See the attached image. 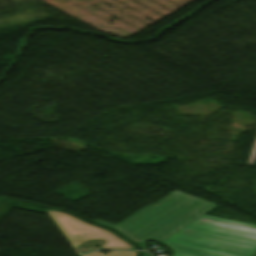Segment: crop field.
<instances>
[{
	"instance_id": "8a807250",
	"label": "crop field",
	"mask_w": 256,
	"mask_h": 256,
	"mask_svg": "<svg viewBox=\"0 0 256 256\" xmlns=\"http://www.w3.org/2000/svg\"><path fill=\"white\" fill-rule=\"evenodd\" d=\"M161 243L174 256H251L256 226L204 215Z\"/></svg>"
},
{
	"instance_id": "ac0d7876",
	"label": "crop field",
	"mask_w": 256,
	"mask_h": 256,
	"mask_svg": "<svg viewBox=\"0 0 256 256\" xmlns=\"http://www.w3.org/2000/svg\"><path fill=\"white\" fill-rule=\"evenodd\" d=\"M216 206L175 191L116 226L95 222L111 226L139 244L149 239L161 242Z\"/></svg>"
},
{
	"instance_id": "34b2d1b8",
	"label": "crop field",
	"mask_w": 256,
	"mask_h": 256,
	"mask_svg": "<svg viewBox=\"0 0 256 256\" xmlns=\"http://www.w3.org/2000/svg\"><path fill=\"white\" fill-rule=\"evenodd\" d=\"M46 210V209H45ZM48 215L58 226L76 254L77 247L87 240L103 239L106 241L100 249L134 250L128 243L121 241L113 233L85 223L73 216L61 212L46 210Z\"/></svg>"
},
{
	"instance_id": "412701ff",
	"label": "crop field",
	"mask_w": 256,
	"mask_h": 256,
	"mask_svg": "<svg viewBox=\"0 0 256 256\" xmlns=\"http://www.w3.org/2000/svg\"><path fill=\"white\" fill-rule=\"evenodd\" d=\"M21 208L26 210H32V211H38L44 213V208L36 207L32 205L22 204V203H16V202H10V201H4L0 200V219L12 208Z\"/></svg>"
},
{
	"instance_id": "f4fd0767",
	"label": "crop field",
	"mask_w": 256,
	"mask_h": 256,
	"mask_svg": "<svg viewBox=\"0 0 256 256\" xmlns=\"http://www.w3.org/2000/svg\"><path fill=\"white\" fill-rule=\"evenodd\" d=\"M83 256H135V253H129V252H117V251H112L111 253L104 255L100 252H95L92 254H87Z\"/></svg>"
},
{
	"instance_id": "dd49c442",
	"label": "crop field",
	"mask_w": 256,
	"mask_h": 256,
	"mask_svg": "<svg viewBox=\"0 0 256 256\" xmlns=\"http://www.w3.org/2000/svg\"><path fill=\"white\" fill-rule=\"evenodd\" d=\"M255 158H256V139L247 163L253 164Z\"/></svg>"
},
{
	"instance_id": "e52e79f7",
	"label": "crop field",
	"mask_w": 256,
	"mask_h": 256,
	"mask_svg": "<svg viewBox=\"0 0 256 256\" xmlns=\"http://www.w3.org/2000/svg\"><path fill=\"white\" fill-rule=\"evenodd\" d=\"M252 256H256V252Z\"/></svg>"
}]
</instances>
